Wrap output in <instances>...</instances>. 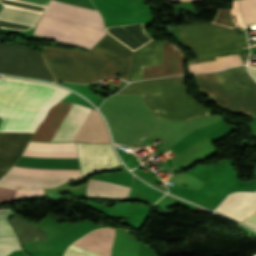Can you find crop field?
<instances>
[{
  "mask_svg": "<svg viewBox=\"0 0 256 256\" xmlns=\"http://www.w3.org/2000/svg\"><path fill=\"white\" fill-rule=\"evenodd\" d=\"M25 1H32L38 3L47 4L49 0H25ZM43 12L11 7V6H3L0 11V20L11 21V22H18V23H25L35 25L39 17Z\"/></svg>",
  "mask_w": 256,
  "mask_h": 256,
  "instance_id": "crop-field-13",
  "label": "crop field"
},
{
  "mask_svg": "<svg viewBox=\"0 0 256 256\" xmlns=\"http://www.w3.org/2000/svg\"><path fill=\"white\" fill-rule=\"evenodd\" d=\"M190 73H206L226 69L243 62L239 55L195 58L187 62Z\"/></svg>",
  "mask_w": 256,
  "mask_h": 256,
  "instance_id": "crop-field-12",
  "label": "crop field"
},
{
  "mask_svg": "<svg viewBox=\"0 0 256 256\" xmlns=\"http://www.w3.org/2000/svg\"><path fill=\"white\" fill-rule=\"evenodd\" d=\"M0 71L55 81L40 54L17 45L0 44Z\"/></svg>",
  "mask_w": 256,
  "mask_h": 256,
  "instance_id": "crop-field-7",
  "label": "crop field"
},
{
  "mask_svg": "<svg viewBox=\"0 0 256 256\" xmlns=\"http://www.w3.org/2000/svg\"><path fill=\"white\" fill-rule=\"evenodd\" d=\"M196 80L201 90L209 93L221 105L256 115V83L246 73L245 66L213 74H198Z\"/></svg>",
  "mask_w": 256,
  "mask_h": 256,
  "instance_id": "crop-field-5",
  "label": "crop field"
},
{
  "mask_svg": "<svg viewBox=\"0 0 256 256\" xmlns=\"http://www.w3.org/2000/svg\"><path fill=\"white\" fill-rule=\"evenodd\" d=\"M129 191V187L92 179L89 180L86 189L87 195L116 198H127Z\"/></svg>",
  "mask_w": 256,
  "mask_h": 256,
  "instance_id": "crop-field-14",
  "label": "crop field"
},
{
  "mask_svg": "<svg viewBox=\"0 0 256 256\" xmlns=\"http://www.w3.org/2000/svg\"><path fill=\"white\" fill-rule=\"evenodd\" d=\"M24 155L31 157H76L77 153L75 142L37 143L29 141L24 151ZM7 174L31 178L60 180H73L81 177L80 170H46L15 166H13ZM8 175H4L0 179V186L16 189H28L54 187L65 182L60 180L30 179Z\"/></svg>",
  "mask_w": 256,
  "mask_h": 256,
  "instance_id": "crop-field-4",
  "label": "crop field"
},
{
  "mask_svg": "<svg viewBox=\"0 0 256 256\" xmlns=\"http://www.w3.org/2000/svg\"><path fill=\"white\" fill-rule=\"evenodd\" d=\"M162 42L152 41L133 52L127 81L142 79L143 66L161 64Z\"/></svg>",
  "mask_w": 256,
  "mask_h": 256,
  "instance_id": "crop-field-10",
  "label": "crop field"
},
{
  "mask_svg": "<svg viewBox=\"0 0 256 256\" xmlns=\"http://www.w3.org/2000/svg\"><path fill=\"white\" fill-rule=\"evenodd\" d=\"M72 105L73 103L70 102H59L50 108L32 139L51 141ZM88 111L89 108L74 103L52 141H71ZM72 141L110 142L98 112L90 109Z\"/></svg>",
  "mask_w": 256,
  "mask_h": 256,
  "instance_id": "crop-field-3",
  "label": "crop field"
},
{
  "mask_svg": "<svg viewBox=\"0 0 256 256\" xmlns=\"http://www.w3.org/2000/svg\"><path fill=\"white\" fill-rule=\"evenodd\" d=\"M182 58L176 45L163 41L162 65L144 67L143 79L184 73Z\"/></svg>",
  "mask_w": 256,
  "mask_h": 256,
  "instance_id": "crop-field-9",
  "label": "crop field"
},
{
  "mask_svg": "<svg viewBox=\"0 0 256 256\" xmlns=\"http://www.w3.org/2000/svg\"><path fill=\"white\" fill-rule=\"evenodd\" d=\"M82 177L120 163L111 144L76 143Z\"/></svg>",
  "mask_w": 256,
  "mask_h": 256,
  "instance_id": "crop-field-8",
  "label": "crop field"
},
{
  "mask_svg": "<svg viewBox=\"0 0 256 256\" xmlns=\"http://www.w3.org/2000/svg\"><path fill=\"white\" fill-rule=\"evenodd\" d=\"M64 256H86V255H83L68 249Z\"/></svg>",
  "mask_w": 256,
  "mask_h": 256,
  "instance_id": "crop-field-23",
  "label": "crop field"
},
{
  "mask_svg": "<svg viewBox=\"0 0 256 256\" xmlns=\"http://www.w3.org/2000/svg\"><path fill=\"white\" fill-rule=\"evenodd\" d=\"M11 214L10 209H0V235H15L6 220Z\"/></svg>",
  "mask_w": 256,
  "mask_h": 256,
  "instance_id": "crop-field-19",
  "label": "crop field"
},
{
  "mask_svg": "<svg viewBox=\"0 0 256 256\" xmlns=\"http://www.w3.org/2000/svg\"><path fill=\"white\" fill-rule=\"evenodd\" d=\"M18 233L22 243L35 240H46L47 234L41 229L25 220L24 218L14 215L10 220Z\"/></svg>",
  "mask_w": 256,
  "mask_h": 256,
  "instance_id": "crop-field-15",
  "label": "crop field"
},
{
  "mask_svg": "<svg viewBox=\"0 0 256 256\" xmlns=\"http://www.w3.org/2000/svg\"><path fill=\"white\" fill-rule=\"evenodd\" d=\"M172 1H190V0H172Z\"/></svg>",
  "mask_w": 256,
  "mask_h": 256,
  "instance_id": "crop-field-25",
  "label": "crop field"
},
{
  "mask_svg": "<svg viewBox=\"0 0 256 256\" xmlns=\"http://www.w3.org/2000/svg\"><path fill=\"white\" fill-rule=\"evenodd\" d=\"M44 195L42 189L18 191L16 197Z\"/></svg>",
  "mask_w": 256,
  "mask_h": 256,
  "instance_id": "crop-field-20",
  "label": "crop field"
},
{
  "mask_svg": "<svg viewBox=\"0 0 256 256\" xmlns=\"http://www.w3.org/2000/svg\"><path fill=\"white\" fill-rule=\"evenodd\" d=\"M180 40L197 56L241 50L245 42L234 30L207 22L177 26Z\"/></svg>",
  "mask_w": 256,
  "mask_h": 256,
  "instance_id": "crop-field-6",
  "label": "crop field"
},
{
  "mask_svg": "<svg viewBox=\"0 0 256 256\" xmlns=\"http://www.w3.org/2000/svg\"><path fill=\"white\" fill-rule=\"evenodd\" d=\"M239 221L256 211V193H234L215 210Z\"/></svg>",
  "mask_w": 256,
  "mask_h": 256,
  "instance_id": "crop-field-11",
  "label": "crop field"
},
{
  "mask_svg": "<svg viewBox=\"0 0 256 256\" xmlns=\"http://www.w3.org/2000/svg\"><path fill=\"white\" fill-rule=\"evenodd\" d=\"M21 249L16 236L0 237V256H7L14 250Z\"/></svg>",
  "mask_w": 256,
  "mask_h": 256,
  "instance_id": "crop-field-18",
  "label": "crop field"
},
{
  "mask_svg": "<svg viewBox=\"0 0 256 256\" xmlns=\"http://www.w3.org/2000/svg\"><path fill=\"white\" fill-rule=\"evenodd\" d=\"M243 223L256 228V212L243 221Z\"/></svg>",
  "mask_w": 256,
  "mask_h": 256,
  "instance_id": "crop-field-21",
  "label": "crop field"
},
{
  "mask_svg": "<svg viewBox=\"0 0 256 256\" xmlns=\"http://www.w3.org/2000/svg\"><path fill=\"white\" fill-rule=\"evenodd\" d=\"M69 249L75 250V251H77V252H80V253H83V254H86V255H89V256H101V255L92 253V252H90V251H87V250L78 248V247L73 246V245H71V246L69 247Z\"/></svg>",
  "mask_w": 256,
  "mask_h": 256,
  "instance_id": "crop-field-22",
  "label": "crop field"
},
{
  "mask_svg": "<svg viewBox=\"0 0 256 256\" xmlns=\"http://www.w3.org/2000/svg\"><path fill=\"white\" fill-rule=\"evenodd\" d=\"M248 68V72L253 76V78L256 80V69L255 68H252V67H249L247 66Z\"/></svg>",
  "mask_w": 256,
  "mask_h": 256,
  "instance_id": "crop-field-24",
  "label": "crop field"
},
{
  "mask_svg": "<svg viewBox=\"0 0 256 256\" xmlns=\"http://www.w3.org/2000/svg\"><path fill=\"white\" fill-rule=\"evenodd\" d=\"M44 16L104 30L100 14L58 0H51ZM44 16L33 34L88 49L105 34V30L100 31Z\"/></svg>",
  "mask_w": 256,
  "mask_h": 256,
  "instance_id": "crop-field-2",
  "label": "crop field"
},
{
  "mask_svg": "<svg viewBox=\"0 0 256 256\" xmlns=\"http://www.w3.org/2000/svg\"><path fill=\"white\" fill-rule=\"evenodd\" d=\"M69 93L40 82L2 77L0 133L30 139L48 109ZM4 134H0V178L17 162L29 141Z\"/></svg>",
  "mask_w": 256,
  "mask_h": 256,
  "instance_id": "crop-field-1",
  "label": "crop field"
},
{
  "mask_svg": "<svg viewBox=\"0 0 256 256\" xmlns=\"http://www.w3.org/2000/svg\"><path fill=\"white\" fill-rule=\"evenodd\" d=\"M240 28L243 27L241 14L238 6V1L235 0L233 3V10H219L218 15L214 21V24L225 25L231 28H238L234 20V17Z\"/></svg>",
  "mask_w": 256,
  "mask_h": 256,
  "instance_id": "crop-field-16",
  "label": "crop field"
},
{
  "mask_svg": "<svg viewBox=\"0 0 256 256\" xmlns=\"http://www.w3.org/2000/svg\"><path fill=\"white\" fill-rule=\"evenodd\" d=\"M244 23L256 22V0H239Z\"/></svg>",
  "mask_w": 256,
  "mask_h": 256,
  "instance_id": "crop-field-17",
  "label": "crop field"
}]
</instances>
